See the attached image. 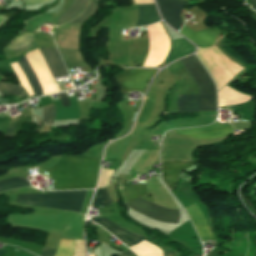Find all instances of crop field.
I'll return each mask as SVG.
<instances>
[{"instance_id": "8a807250", "label": "crop field", "mask_w": 256, "mask_h": 256, "mask_svg": "<svg viewBox=\"0 0 256 256\" xmlns=\"http://www.w3.org/2000/svg\"><path fill=\"white\" fill-rule=\"evenodd\" d=\"M100 160L86 156H64L46 170L55 179V190L93 188Z\"/></svg>"}, {"instance_id": "ac0d7876", "label": "crop field", "mask_w": 256, "mask_h": 256, "mask_svg": "<svg viewBox=\"0 0 256 256\" xmlns=\"http://www.w3.org/2000/svg\"><path fill=\"white\" fill-rule=\"evenodd\" d=\"M195 79L201 93L202 111H217L216 89L208 73L192 55L180 60ZM199 95H177L176 112L201 111Z\"/></svg>"}, {"instance_id": "34b2d1b8", "label": "crop field", "mask_w": 256, "mask_h": 256, "mask_svg": "<svg viewBox=\"0 0 256 256\" xmlns=\"http://www.w3.org/2000/svg\"><path fill=\"white\" fill-rule=\"evenodd\" d=\"M86 191L87 190L50 192L46 195L19 194L15 202L29 206L49 207L81 212Z\"/></svg>"}, {"instance_id": "412701ff", "label": "crop field", "mask_w": 256, "mask_h": 256, "mask_svg": "<svg viewBox=\"0 0 256 256\" xmlns=\"http://www.w3.org/2000/svg\"><path fill=\"white\" fill-rule=\"evenodd\" d=\"M124 191L129 201L146 195L145 184H129L125 186ZM127 205L133 210L157 221L167 223H178L179 221L180 211L162 209L140 199L127 203Z\"/></svg>"}, {"instance_id": "f4fd0767", "label": "crop field", "mask_w": 256, "mask_h": 256, "mask_svg": "<svg viewBox=\"0 0 256 256\" xmlns=\"http://www.w3.org/2000/svg\"><path fill=\"white\" fill-rule=\"evenodd\" d=\"M157 69H130L115 75L122 92L144 91Z\"/></svg>"}, {"instance_id": "dd49c442", "label": "crop field", "mask_w": 256, "mask_h": 256, "mask_svg": "<svg viewBox=\"0 0 256 256\" xmlns=\"http://www.w3.org/2000/svg\"><path fill=\"white\" fill-rule=\"evenodd\" d=\"M176 132L181 136L198 139V140H204V139L230 135L233 132V128L230 126L229 123L222 125L216 122L210 126L181 129V130H176Z\"/></svg>"}, {"instance_id": "e52e79f7", "label": "crop field", "mask_w": 256, "mask_h": 256, "mask_svg": "<svg viewBox=\"0 0 256 256\" xmlns=\"http://www.w3.org/2000/svg\"><path fill=\"white\" fill-rule=\"evenodd\" d=\"M164 20L176 30L183 25L180 14L185 2L178 0H156Z\"/></svg>"}, {"instance_id": "d8731c3e", "label": "crop field", "mask_w": 256, "mask_h": 256, "mask_svg": "<svg viewBox=\"0 0 256 256\" xmlns=\"http://www.w3.org/2000/svg\"><path fill=\"white\" fill-rule=\"evenodd\" d=\"M91 220L97 222L98 224L105 227L108 231H110L113 235H115L118 239L123 241L126 245L135 246L139 244L141 241L145 239L143 236H139L137 234L130 233L114 223L110 222L109 220L105 218H92ZM132 246V247H133ZM131 248V247H130Z\"/></svg>"}, {"instance_id": "5a996713", "label": "crop field", "mask_w": 256, "mask_h": 256, "mask_svg": "<svg viewBox=\"0 0 256 256\" xmlns=\"http://www.w3.org/2000/svg\"><path fill=\"white\" fill-rule=\"evenodd\" d=\"M193 163L194 162L192 161H188V162L177 161V162L161 163L164 182L167 185V187L171 190V192L173 191V189L177 184L179 172L192 166Z\"/></svg>"}, {"instance_id": "3316defc", "label": "crop field", "mask_w": 256, "mask_h": 256, "mask_svg": "<svg viewBox=\"0 0 256 256\" xmlns=\"http://www.w3.org/2000/svg\"><path fill=\"white\" fill-rule=\"evenodd\" d=\"M185 37L193 41L200 48L209 47L215 41L217 35L220 33L219 29L212 28L208 30H203L199 32H192L185 25L180 31Z\"/></svg>"}, {"instance_id": "28ad6ade", "label": "crop field", "mask_w": 256, "mask_h": 256, "mask_svg": "<svg viewBox=\"0 0 256 256\" xmlns=\"http://www.w3.org/2000/svg\"><path fill=\"white\" fill-rule=\"evenodd\" d=\"M185 209L188 212L194 226L196 227L202 241L205 242L208 240H213V236L207 227L206 221L199 207L196 204H193Z\"/></svg>"}, {"instance_id": "d1516ede", "label": "crop field", "mask_w": 256, "mask_h": 256, "mask_svg": "<svg viewBox=\"0 0 256 256\" xmlns=\"http://www.w3.org/2000/svg\"><path fill=\"white\" fill-rule=\"evenodd\" d=\"M54 78L68 75L56 49H40Z\"/></svg>"}, {"instance_id": "22f410ed", "label": "crop field", "mask_w": 256, "mask_h": 256, "mask_svg": "<svg viewBox=\"0 0 256 256\" xmlns=\"http://www.w3.org/2000/svg\"><path fill=\"white\" fill-rule=\"evenodd\" d=\"M139 20L135 27L146 26L160 21V16L156 10L155 5H138Z\"/></svg>"}, {"instance_id": "cbeb9de0", "label": "crop field", "mask_w": 256, "mask_h": 256, "mask_svg": "<svg viewBox=\"0 0 256 256\" xmlns=\"http://www.w3.org/2000/svg\"><path fill=\"white\" fill-rule=\"evenodd\" d=\"M88 1L89 0H82V2H81V0H74L72 2L71 6L68 8V10L65 13H63L62 15H60L59 19L68 15V14H70V13H72L77 8L79 3L81 2L80 5L78 6V8L71 15L59 20L57 25L64 24V23L74 19L76 16H78L81 12H83V10L85 9Z\"/></svg>"}, {"instance_id": "5142ce71", "label": "crop field", "mask_w": 256, "mask_h": 256, "mask_svg": "<svg viewBox=\"0 0 256 256\" xmlns=\"http://www.w3.org/2000/svg\"><path fill=\"white\" fill-rule=\"evenodd\" d=\"M68 69L85 66L78 51L59 49Z\"/></svg>"}, {"instance_id": "d9b57169", "label": "crop field", "mask_w": 256, "mask_h": 256, "mask_svg": "<svg viewBox=\"0 0 256 256\" xmlns=\"http://www.w3.org/2000/svg\"><path fill=\"white\" fill-rule=\"evenodd\" d=\"M18 62L20 63V65L24 69L26 75L28 76V78H29V80H30V82H31V84H32L36 94H37V97L41 96L42 95V93H41L42 89L39 86V84H38V82H37V80H36L32 70H31V68H30V66H29V64H28V62H27V60L25 58V56L23 58H21Z\"/></svg>"}, {"instance_id": "733c2abd", "label": "crop field", "mask_w": 256, "mask_h": 256, "mask_svg": "<svg viewBox=\"0 0 256 256\" xmlns=\"http://www.w3.org/2000/svg\"><path fill=\"white\" fill-rule=\"evenodd\" d=\"M24 186H30L29 181L23 178L15 177V178L0 182V192L10 190L13 188L24 187Z\"/></svg>"}, {"instance_id": "4a817a6b", "label": "crop field", "mask_w": 256, "mask_h": 256, "mask_svg": "<svg viewBox=\"0 0 256 256\" xmlns=\"http://www.w3.org/2000/svg\"><path fill=\"white\" fill-rule=\"evenodd\" d=\"M75 240L61 239L55 256H73Z\"/></svg>"}, {"instance_id": "bc2a9ffb", "label": "crop field", "mask_w": 256, "mask_h": 256, "mask_svg": "<svg viewBox=\"0 0 256 256\" xmlns=\"http://www.w3.org/2000/svg\"><path fill=\"white\" fill-rule=\"evenodd\" d=\"M98 7H99V2L91 0L85 12L81 16H79L76 20L69 23L83 24L89 17H91L93 14L96 13Z\"/></svg>"}, {"instance_id": "214f88e0", "label": "crop field", "mask_w": 256, "mask_h": 256, "mask_svg": "<svg viewBox=\"0 0 256 256\" xmlns=\"http://www.w3.org/2000/svg\"><path fill=\"white\" fill-rule=\"evenodd\" d=\"M111 203H113V201L109 193L107 192V190L97 189V193L94 198L92 206L94 207L108 206Z\"/></svg>"}, {"instance_id": "92a150f3", "label": "crop field", "mask_w": 256, "mask_h": 256, "mask_svg": "<svg viewBox=\"0 0 256 256\" xmlns=\"http://www.w3.org/2000/svg\"><path fill=\"white\" fill-rule=\"evenodd\" d=\"M43 109H44V122L53 123L54 115H55L54 106L44 107Z\"/></svg>"}, {"instance_id": "dafd665d", "label": "crop field", "mask_w": 256, "mask_h": 256, "mask_svg": "<svg viewBox=\"0 0 256 256\" xmlns=\"http://www.w3.org/2000/svg\"><path fill=\"white\" fill-rule=\"evenodd\" d=\"M4 86L10 94L18 95V96H25L22 91L21 86H16L11 83H5V82H4Z\"/></svg>"}, {"instance_id": "00972430", "label": "crop field", "mask_w": 256, "mask_h": 256, "mask_svg": "<svg viewBox=\"0 0 256 256\" xmlns=\"http://www.w3.org/2000/svg\"><path fill=\"white\" fill-rule=\"evenodd\" d=\"M58 96L61 100L62 106H70V100L66 93L58 94Z\"/></svg>"}, {"instance_id": "a9b5d70f", "label": "crop field", "mask_w": 256, "mask_h": 256, "mask_svg": "<svg viewBox=\"0 0 256 256\" xmlns=\"http://www.w3.org/2000/svg\"><path fill=\"white\" fill-rule=\"evenodd\" d=\"M55 252H56V250H54V249L44 248V250L40 256H54Z\"/></svg>"}, {"instance_id": "4177f3b9", "label": "crop field", "mask_w": 256, "mask_h": 256, "mask_svg": "<svg viewBox=\"0 0 256 256\" xmlns=\"http://www.w3.org/2000/svg\"><path fill=\"white\" fill-rule=\"evenodd\" d=\"M13 134H14V123L9 125V127L5 133V137L13 136Z\"/></svg>"}, {"instance_id": "730fd06b", "label": "crop field", "mask_w": 256, "mask_h": 256, "mask_svg": "<svg viewBox=\"0 0 256 256\" xmlns=\"http://www.w3.org/2000/svg\"><path fill=\"white\" fill-rule=\"evenodd\" d=\"M135 4H155L153 0H134Z\"/></svg>"}, {"instance_id": "eef30255", "label": "crop field", "mask_w": 256, "mask_h": 256, "mask_svg": "<svg viewBox=\"0 0 256 256\" xmlns=\"http://www.w3.org/2000/svg\"><path fill=\"white\" fill-rule=\"evenodd\" d=\"M120 256H136V255L129 250L126 253L123 252Z\"/></svg>"}, {"instance_id": "ae1a2a85", "label": "crop field", "mask_w": 256, "mask_h": 256, "mask_svg": "<svg viewBox=\"0 0 256 256\" xmlns=\"http://www.w3.org/2000/svg\"><path fill=\"white\" fill-rule=\"evenodd\" d=\"M0 93H1L3 96H6V95H7V93H6V91H5V89H4L3 85H2V83H0Z\"/></svg>"}, {"instance_id": "d3111659", "label": "crop field", "mask_w": 256, "mask_h": 256, "mask_svg": "<svg viewBox=\"0 0 256 256\" xmlns=\"http://www.w3.org/2000/svg\"><path fill=\"white\" fill-rule=\"evenodd\" d=\"M250 7L256 10V0H251Z\"/></svg>"}, {"instance_id": "750c4746", "label": "crop field", "mask_w": 256, "mask_h": 256, "mask_svg": "<svg viewBox=\"0 0 256 256\" xmlns=\"http://www.w3.org/2000/svg\"><path fill=\"white\" fill-rule=\"evenodd\" d=\"M163 256H174V251H172V252H163Z\"/></svg>"}, {"instance_id": "bd1437ed", "label": "crop field", "mask_w": 256, "mask_h": 256, "mask_svg": "<svg viewBox=\"0 0 256 256\" xmlns=\"http://www.w3.org/2000/svg\"><path fill=\"white\" fill-rule=\"evenodd\" d=\"M5 253H7V251L0 250V256L4 255Z\"/></svg>"}]
</instances>
